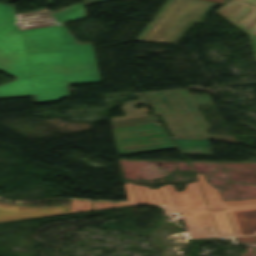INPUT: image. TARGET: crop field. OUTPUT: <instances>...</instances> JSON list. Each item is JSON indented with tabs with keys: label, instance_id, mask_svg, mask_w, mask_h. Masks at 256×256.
<instances>
[{
	"label": "crop field",
	"instance_id": "obj_1",
	"mask_svg": "<svg viewBox=\"0 0 256 256\" xmlns=\"http://www.w3.org/2000/svg\"><path fill=\"white\" fill-rule=\"evenodd\" d=\"M51 14L59 26L19 31L12 6L0 3V69L17 76L0 96L51 102L69 96L66 84L100 81L91 44H78L63 25L85 17L83 4Z\"/></svg>",
	"mask_w": 256,
	"mask_h": 256
},
{
	"label": "crop field",
	"instance_id": "obj_2",
	"mask_svg": "<svg viewBox=\"0 0 256 256\" xmlns=\"http://www.w3.org/2000/svg\"><path fill=\"white\" fill-rule=\"evenodd\" d=\"M128 200L136 203L162 204L169 212H181L191 237L235 235L225 210L209 211L198 182L188 183L184 191L173 185L159 189L131 183L124 184Z\"/></svg>",
	"mask_w": 256,
	"mask_h": 256
},
{
	"label": "crop field",
	"instance_id": "obj_3",
	"mask_svg": "<svg viewBox=\"0 0 256 256\" xmlns=\"http://www.w3.org/2000/svg\"><path fill=\"white\" fill-rule=\"evenodd\" d=\"M176 1L179 2L174 4ZM215 5L200 0H167L135 40L177 43L191 25L202 22Z\"/></svg>",
	"mask_w": 256,
	"mask_h": 256
},
{
	"label": "crop field",
	"instance_id": "obj_4",
	"mask_svg": "<svg viewBox=\"0 0 256 256\" xmlns=\"http://www.w3.org/2000/svg\"><path fill=\"white\" fill-rule=\"evenodd\" d=\"M118 154L176 148L156 123L112 128Z\"/></svg>",
	"mask_w": 256,
	"mask_h": 256
},
{
	"label": "crop field",
	"instance_id": "obj_5",
	"mask_svg": "<svg viewBox=\"0 0 256 256\" xmlns=\"http://www.w3.org/2000/svg\"><path fill=\"white\" fill-rule=\"evenodd\" d=\"M197 177L209 209H226L236 235L256 232V199L222 202L219 191L206 182L203 174Z\"/></svg>",
	"mask_w": 256,
	"mask_h": 256
},
{
	"label": "crop field",
	"instance_id": "obj_6",
	"mask_svg": "<svg viewBox=\"0 0 256 256\" xmlns=\"http://www.w3.org/2000/svg\"><path fill=\"white\" fill-rule=\"evenodd\" d=\"M156 114L198 111L195 104L211 103L208 97L189 95L187 89L143 93Z\"/></svg>",
	"mask_w": 256,
	"mask_h": 256
},
{
	"label": "crop field",
	"instance_id": "obj_7",
	"mask_svg": "<svg viewBox=\"0 0 256 256\" xmlns=\"http://www.w3.org/2000/svg\"><path fill=\"white\" fill-rule=\"evenodd\" d=\"M163 118L174 137L216 138L235 142L232 136L209 135L206 131L209 127L200 112L163 115Z\"/></svg>",
	"mask_w": 256,
	"mask_h": 256
},
{
	"label": "crop field",
	"instance_id": "obj_8",
	"mask_svg": "<svg viewBox=\"0 0 256 256\" xmlns=\"http://www.w3.org/2000/svg\"><path fill=\"white\" fill-rule=\"evenodd\" d=\"M216 12L249 35L256 60V8L239 0H230Z\"/></svg>",
	"mask_w": 256,
	"mask_h": 256
},
{
	"label": "crop field",
	"instance_id": "obj_9",
	"mask_svg": "<svg viewBox=\"0 0 256 256\" xmlns=\"http://www.w3.org/2000/svg\"><path fill=\"white\" fill-rule=\"evenodd\" d=\"M69 213V204L36 208L0 201V222Z\"/></svg>",
	"mask_w": 256,
	"mask_h": 256
},
{
	"label": "crop field",
	"instance_id": "obj_10",
	"mask_svg": "<svg viewBox=\"0 0 256 256\" xmlns=\"http://www.w3.org/2000/svg\"><path fill=\"white\" fill-rule=\"evenodd\" d=\"M139 100L125 102L123 106H121L122 110L126 114V116H119L111 118L112 127L116 126H124V125H132V124H140V123H148V122H156L158 121L156 115L148 116L144 112H147L145 105L147 102L141 95V93H137ZM143 104L144 108H135L136 104ZM138 117V118H134ZM148 118L150 120H148ZM155 118V119H152Z\"/></svg>",
	"mask_w": 256,
	"mask_h": 256
},
{
	"label": "crop field",
	"instance_id": "obj_11",
	"mask_svg": "<svg viewBox=\"0 0 256 256\" xmlns=\"http://www.w3.org/2000/svg\"><path fill=\"white\" fill-rule=\"evenodd\" d=\"M175 141L177 148L183 154H206L210 155V147L208 139H185L172 138Z\"/></svg>",
	"mask_w": 256,
	"mask_h": 256
},
{
	"label": "crop field",
	"instance_id": "obj_12",
	"mask_svg": "<svg viewBox=\"0 0 256 256\" xmlns=\"http://www.w3.org/2000/svg\"><path fill=\"white\" fill-rule=\"evenodd\" d=\"M128 205L127 203H110L98 202L88 200H71L70 213L85 211V210H98L114 207H122Z\"/></svg>",
	"mask_w": 256,
	"mask_h": 256
},
{
	"label": "crop field",
	"instance_id": "obj_13",
	"mask_svg": "<svg viewBox=\"0 0 256 256\" xmlns=\"http://www.w3.org/2000/svg\"><path fill=\"white\" fill-rule=\"evenodd\" d=\"M238 243H244V242H256V235L255 236H250V237H239L236 238Z\"/></svg>",
	"mask_w": 256,
	"mask_h": 256
},
{
	"label": "crop field",
	"instance_id": "obj_14",
	"mask_svg": "<svg viewBox=\"0 0 256 256\" xmlns=\"http://www.w3.org/2000/svg\"><path fill=\"white\" fill-rule=\"evenodd\" d=\"M241 1L246 2V3L256 7V0H241Z\"/></svg>",
	"mask_w": 256,
	"mask_h": 256
},
{
	"label": "crop field",
	"instance_id": "obj_15",
	"mask_svg": "<svg viewBox=\"0 0 256 256\" xmlns=\"http://www.w3.org/2000/svg\"><path fill=\"white\" fill-rule=\"evenodd\" d=\"M100 1H104V0H84V5L90 4V3H95V2H100Z\"/></svg>",
	"mask_w": 256,
	"mask_h": 256
},
{
	"label": "crop field",
	"instance_id": "obj_16",
	"mask_svg": "<svg viewBox=\"0 0 256 256\" xmlns=\"http://www.w3.org/2000/svg\"><path fill=\"white\" fill-rule=\"evenodd\" d=\"M205 1H210L215 3H224L226 0H205Z\"/></svg>",
	"mask_w": 256,
	"mask_h": 256
}]
</instances>
